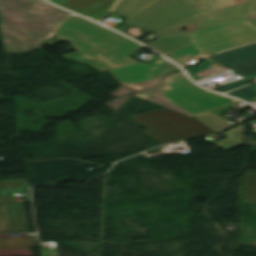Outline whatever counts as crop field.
Wrapping results in <instances>:
<instances>
[{
  "label": "crop field",
  "instance_id": "crop-field-15",
  "mask_svg": "<svg viewBox=\"0 0 256 256\" xmlns=\"http://www.w3.org/2000/svg\"><path fill=\"white\" fill-rule=\"evenodd\" d=\"M152 79H153V81H150V82H144V83L133 84V85H123V87H125L126 89H128L129 91H131L132 93L135 94L162 78L161 77H152Z\"/></svg>",
  "mask_w": 256,
  "mask_h": 256
},
{
  "label": "crop field",
  "instance_id": "crop-field-2",
  "mask_svg": "<svg viewBox=\"0 0 256 256\" xmlns=\"http://www.w3.org/2000/svg\"><path fill=\"white\" fill-rule=\"evenodd\" d=\"M0 15L5 46L47 41L70 16L42 0H0Z\"/></svg>",
  "mask_w": 256,
  "mask_h": 256
},
{
  "label": "crop field",
  "instance_id": "crop-field-10",
  "mask_svg": "<svg viewBox=\"0 0 256 256\" xmlns=\"http://www.w3.org/2000/svg\"><path fill=\"white\" fill-rule=\"evenodd\" d=\"M195 117L216 132L233 125L232 123L228 122L227 120H225L211 112H207V113L195 116Z\"/></svg>",
  "mask_w": 256,
  "mask_h": 256
},
{
  "label": "crop field",
  "instance_id": "crop-field-6",
  "mask_svg": "<svg viewBox=\"0 0 256 256\" xmlns=\"http://www.w3.org/2000/svg\"><path fill=\"white\" fill-rule=\"evenodd\" d=\"M172 79L169 76H166L162 80L156 82L155 84L149 86L148 88L142 90L141 92L137 93L136 95L146 98L148 100L154 101L171 109H174L178 112L186 114L192 117L189 113L183 110L181 107L172 104L168 101L164 96H162L159 92L169 89L168 83L171 82Z\"/></svg>",
  "mask_w": 256,
  "mask_h": 256
},
{
  "label": "crop field",
  "instance_id": "crop-field-18",
  "mask_svg": "<svg viewBox=\"0 0 256 256\" xmlns=\"http://www.w3.org/2000/svg\"><path fill=\"white\" fill-rule=\"evenodd\" d=\"M246 0H230V3H231V6L232 5H235V4H239V3H242V2H245Z\"/></svg>",
  "mask_w": 256,
  "mask_h": 256
},
{
  "label": "crop field",
  "instance_id": "crop-field-14",
  "mask_svg": "<svg viewBox=\"0 0 256 256\" xmlns=\"http://www.w3.org/2000/svg\"><path fill=\"white\" fill-rule=\"evenodd\" d=\"M228 95L243 100L245 98L256 95V87H254L253 85H249V86L243 87L241 89L232 91V92L228 93Z\"/></svg>",
  "mask_w": 256,
  "mask_h": 256
},
{
  "label": "crop field",
  "instance_id": "crop-field-9",
  "mask_svg": "<svg viewBox=\"0 0 256 256\" xmlns=\"http://www.w3.org/2000/svg\"><path fill=\"white\" fill-rule=\"evenodd\" d=\"M244 128H245V123L234 128L231 129L225 133H223V135H225L227 138L218 141L214 144L229 150L231 148L237 147L239 145L243 144V139H244Z\"/></svg>",
  "mask_w": 256,
  "mask_h": 256
},
{
  "label": "crop field",
  "instance_id": "crop-field-7",
  "mask_svg": "<svg viewBox=\"0 0 256 256\" xmlns=\"http://www.w3.org/2000/svg\"><path fill=\"white\" fill-rule=\"evenodd\" d=\"M211 57L228 66L244 62L247 60H251L256 58V43L238 49L223 52L220 54H216Z\"/></svg>",
  "mask_w": 256,
  "mask_h": 256
},
{
  "label": "crop field",
  "instance_id": "crop-field-4",
  "mask_svg": "<svg viewBox=\"0 0 256 256\" xmlns=\"http://www.w3.org/2000/svg\"><path fill=\"white\" fill-rule=\"evenodd\" d=\"M170 77L173 79V82L170 83L171 88L161 92V94L193 116L238 102L199 88L192 84L182 73Z\"/></svg>",
  "mask_w": 256,
  "mask_h": 256
},
{
  "label": "crop field",
  "instance_id": "crop-field-19",
  "mask_svg": "<svg viewBox=\"0 0 256 256\" xmlns=\"http://www.w3.org/2000/svg\"><path fill=\"white\" fill-rule=\"evenodd\" d=\"M254 77H256V74H254V75H251V76H248V77H244L246 80H248V79H251V78H254ZM256 86V85H255Z\"/></svg>",
  "mask_w": 256,
  "mask_h": 256
},
{
  "label": "crop field",
  "instance_id": "crop-field-12",
  "mask_svg": "<svg viewBox=\"0 0 256 256\" xmlns=\"http://www.w3.org/2000/svg\"><path fill=\"white\" fill-rule=\"evenodd\" d=\"M243 204H256V174H246Z\"/></svg>",
  "mask_w": 256,
  "mask_h": 256
},
{
  "label": "crop field",
  "instance_id": "crop-field-5",
  "mask_svg": "<svg viewBox=\"0 0 256 256\" xmlns=\"http://www.w3.org/2000/svg\"><path fill=\"white\" fill-rule=\"evenodd\" d=\"M116 1L117 0H62L55 4L99 21L105 17Z\"/></svg>",
  "mask_w": 256,
  "mask_h": 256
},
{
  "label": "crop field",
  "instance_id": "crop-field-17",
  "mask_svg": "<svg viewBox=\"0 0 256 256\" xmlns=\"http://www.w3.org/2000/svg\"><path fill=\"white\" fill-rule=\"evenodd\" d=\"M231 109H233V108L227 106V107H224V108H221V109L214 110V111H212V112H214V113L220 115V114H222V113H224V112H226V111H229V110H231Z\"/></svg>",
  "mask_w": 256,
  "mask_h": 256
},
{
  "label": "crop field",
  "instance_id": "crop-field-8",
  "mask_svg": "<svg viewBox=\"0 0 256 256\" xmlns=\"http://www.w3.org/2000/svg\"><path fill=\"white\" fill-rule=\"evenodd\" d=\"M155 0H121L113 13L129 18L138 13Z\"/></svg>",
  "mask_w": 256,
  "mask_h": 256
},
{
  "label": "crop field",
  "instance_id": "crop-field-13",
  "mask_svg": "<svg viewBox=\"0 0 256 256\" xmlns=\"http://www.w3.org/2000/svg\"><path fill=\"white\" fill-rule=\"evenodd\" d=\"M231 70L235 71L240 76L244 77L256 73V60L245 64L230 67Z\"/></svg>",
  "mask_w": 256,
  "mask_h": 256
},
{
  "label": "crop field",
  "instance_id": "crop-field-1",
  "mask_svg": "<svg viewBox=\"0 0 256 256\" xmlns=\"http://www.w3.org/2000/svg\"><path fill=\"white\" fill-rule=\"evenodd\" d=\"M252 12L256 0L232 7L229 0H157L125 22L163 36L146 45L163 54L174 52L171 58L189 65L205 55L256 41V23L248 17ZM195 22L199 23L193 33L177 28Z\"/></svg>",
  "mask_w": 256,
  "mask_h": 256
},
{
  "label": "crop field",
  "instance_id": "crop-field-3",
  "mask_svg": "<svg viewBox=\"0 0 256 256\" xmlns=\"http://www.w3.org/2000/svg\"><path fill=\"white\" fill-rule=\"evenodd\" d=\"M148 130L145 134L161 144L215 133L196 118L169 108L131 115Z\"/></svg>",
  "mask_w": 256,
  "mask_h": 256
},
{
  "label": "crop field",
  "instance_id": "crop-field-11",
  "mask_svg": "<svg viewBox=\"0 0 256 256\" xmlns=\"http://www.w3.org/2000/svg\"><path fill=\"white\" fill-rule=\"evenodd\" d=\"M38 247L36 238H0V249Z\"/></svg>",
  "mask_w": 256,
  "mask_h": 256
},
{
  "label": "crop field",
  "instance_id": "crop-field-16",
  "mask_svg": "<svg viewBox=\"0 0 256 256\" xmlns=\"http://www.w3.org/2000/svg\"><path fill=\"white\" fill-rule=\"evenodd\" d=\"M246 84H249V82H247L245 79H243L241 81H238V82H235V83L230 84L228 86H225V87H223V89H221L219 91H216V92L224 93L226 91L238 88V87L246 85Z\"/></svg>",
  "mask_w": 256,
  "mask_h": 256
}]
</instances>
